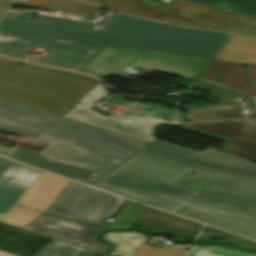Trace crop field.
Here are the masks:
<instances>
[{
	"label": "crop field",
	"instance_id": "4177f3b9",
	"mask_svg": "<svg viewBox=\"0 0 256 256\" xmlns=\"http://www.w3.org/2000/svg\"><path fill=\"white\" fill-rule=\"evenodd\" d=\"M187 87H189V89H195V88L203 89V90L210 92V95H212L214 97L226 99V101H222L221 104H227V105L234 106V107L239 106V107L247 108V109H251L253 107L249 103V101L239 98L238 95L221 90L219 88H216V87H213L210 85H206V84H202V83L193 81Z\"/></svg>",
	"mask_w": 256,
	"mask_h": 256
},
{
	"label": "crop field",
	"instance_id": "bd1437ed",
	"mask_svg": "<svg viewBox=\"0 0 256 256\" xmlns=\"http://www.w3.org/2000/svg\"><path fill=\"white\" fill-rule=\"evenodd\" d=\"M62 17H69V18H74V19H79V20H90L93 19V16H89L87 14H76L72 12H60Z\"/></svg>",
	"mask_w": 256,
	"mask_h": 256
},
{
	"label": "crop field",
	"instance_id": "d8731c3e",
	"mask_svg": "<svg viewBox=\"0 0 256 256\" xmlns=\"http://www.w3.org/2000/svg\"><path fill=\"white\" fill-rule=\"evenodd\" d=\"M107 94L108 92L103 88L102 84L99 83L74 104V108L72 110L70 109L71 111L64 116L148 143L156 140V138L150 135L159 123L179 126V123L163 121L154 117L129 115H111L105 117L93 111L91 109L93 103L103 99Z\"/></svg>",
	"mask_w": 256,
	"mask_h": 256
},
{
	"label": "crop field",
	"instance_id": "ac0d7876",
	"mask_svg": "<svg viewBox=\"0 0 256 256\" xmlns=\"http://www.w3.org/2000/svg\"><path fill=\"white\" fill-rule=\"evenodd\" d=\"M0 98V131L50 145L41 154L105 175L147 144L107 131L59 119Z\"/></svg>",
	"mask_w": 256,
	"mask_h": 256
},
{
	"label": "crop field",
	"instance_id": "3316defc",
	"mask_svg": "<svg viewBox=\"0 0 256 256\" xmlns=\"http://www.w3.org/2000/svg\"><path fill=\"white\" fill-rule=\"evenodd\" d=\"M69 180L43 172L12 205L2 221L25 228L48 208Z\"/></svg>",
	"mask_w": 256,
	"mask_h": 256
},
{
	"label": "crop field",
	"instance_id": "d1516ede",
	"mask_svg": "<svg viewBox=\"0 0 256 256\" xmlns=\"http://www.w3.org/2000/svg\"><path fill=\"white\" fill-rule=\"evenodd\" d=\"M26 229L53 236L80 246L104 253L108 246L95 240L102 226L63 219L60 216L43 214Z\"/></svg>",
	"mask_w": 256,
	"mask_h": 256
},
{
	"label": "crop field",
	"instance_id": "412701ff",
	"mask_svg": "<svg viewBox=\"0 0 256 256\" xmlns=\"http://www.w3.org/2000/svg\"><path fill=\"white\" fill-rule=\"evenodd\" d=\"M142 0H103L102 6L180 25L237 32L256 37V18L173 0L165 8Z\"/></svg>",
	"mask_w": 256,
	"mask_h": 256
},
{
	"label": "crop field",
	"instance_id": "750c4746",
	"mask_svg": "<svg viewBox=\"0 0 256 256\" xmlns=\"http://www.w3.org/2000/svg\"><path fill=\"white\" fill-rule=\"evenodd\" d=\"M148 209V206L143 205L140 206L127 220L126 224H124L122 229H126L128 227L131 226V224L142 214L144 213L146 210ZM129 229V228H128Z\"/></svg>",
	"mask_w": 256,
	"mask_h": 256
},
{
	"label": "crop field",
	"instance_id": "ae1a2a85",
	"mask_svg": "<svg viewBox=\"0 0 256 256\" xmlns=\"http://www.w3.org/2000/svg\"><path fill=\"white\" fill-rule=\"evenodd\" d=\"M188 250L164 245L161 249L145 244L135 256H186Z\"/></svg>",
	"mask_w": 256,
	"mask_h": 256
},
{
	"label": "crop field",
	"instance_id": "8a807250",
	"mask_svg": "<svg viewBox=\"0 0 256 256\" xmlns=\"http://www.w3.org/2000/svg\"><path fill=\"white\" fill-rule=\"evenodd\" d=\"M189 171L243 183L226 199L174 185ZM112 192L256 240V165L156 141L97 182Z\"/></svg>",
	"mask_w": 256,
	"mask_h": 256
},
{
	"label": "crop field",
	"instance_id": "00972430",
	"mask_svg": "<svg viewBox=\"0 0 256 256\" xmlns=\"http://www.w3.org/2000/svg\"><path fill=\"white\" fill-rule=\"evenodd\" d=\"M241 110L230 106H214L193 110L187 117L189 121L193 120H224L239 118Z\"/></svg>",
	"mask_w": 256,
	"mask_h": 256
},
{
	"label": "crop field",
	"instance_id": "0bd39190",
	"mask_svg": "<svg viewBox=\"0 0 256 256\" xmlns=\"http://www.w3.org/2000/svg\"><path fill=\"white\" fill-rule=\"evenodd\" d=\"M27 61H29V62H33V61H30V60H27ZM34 63H38V62H34ZM39 64H43V63H39ZM43 65H48V64H43ZM48 66H53V65H48ZM53 67H58V66H53ZM58 68H62V67H58ZM64 69H67V68H64ZM70 70H72V69H70ZM77 71V70H76ZM82 72V71H81ZM86 73V72H85ZM89 74H91V73H89ZM92 75H94V76H96L97 74H92Z\"/></svg>",
	"mask_w": 256,
	"mask_h": 256
},
{
	"label": "crop field",
	"instance_id": "a9b5d70f",
	"mask_svg": "<svg viewBox=\"0 0 256 256\" xmlns=\"http://www.w3.org/2000/svg\"><path fill=\"white\" fill-rule=\"evenodd\" d=\"M218 8H229L235 12L256 15V0H186Z\"/></svg>",
	"mask_w": 256,
	"mask_h": 256
},
{
	"label": "crop field",
	"instance_id": "1d83c4d3",
	"mask_svg": "<svg viewBox=\"0 0 256 256\" xmlns=\"http://www.w3.org/2000/svg\"><path fill=\"white\" fill-rule=\"evenodd\" d=\"M12 163L13 161L0 157V177L4 174V172L9 168Z\"/></svg>",
	"mask_w": 256,
	"mask_h": 256
},
{
	"label": "crop field",
	"instance_id": "5142ce71",
	"mask_svg": "<svg viewBox=\"0 0 256 256\" xmlns=\"http://www.w3.org/2000/svg\"><path fill=\"white\" fill-rule=\"evenodd\" d=\"M6 157L89 185L102 177L100 174L21 148L13 151Z\"/></svg>",
	"mask_w": 256,
	"mask_h": 256
},
{
	"label": "crop field",
	"instance_id": "d9b57169",
	"mask_svg": "<svg viewBox=\"0 0 256 256\" xmlns=\"http://www.w3.org/2000/svg\"><path fill=\"white\" fill-rule=\"evenodd\" d=\"M135 222L143 224L144 226L142 229L148 231H167L185 238H194L198 235L202 227V224L151 207H149V209Z\"/></svg>",
	"mask_w": 256,
	"mask_h": 256
},
{
	"label": "crop field",
	"instance_id": "34b2d1b8",
	"mask_svg": "<svg viewBox=\"0 0 256 256\" xmlns=\"http://www.w3.org/2000/svg\"><path fill=\"white\" fill-rule=\"evenodd\" d=\"M0 78L41 90L72 107L99 80L80 73L0 58ZM0 97L61 116L70 108L29 88L0 79ZM76 104V103H75Z\"/></svg>",
	"mask_w": 256,
	"mask_h": 256
},
{
	"label": "crop field",
	"instance_id": "028f5c9d",
	"mask_svg": "<svg viewBox=\"0 0 256 256\" xmlns=\"http://www.w3.org/2000/svg\"><path fill=\"white\" fill-rule=\"evenodd\" d=\"M81 1H86V2H91V3H95V4H101L102 0H81Z\"/></svg>",
	"mask_w": 256,
	"mask_h": 256
},
{
	"label": "crop field",
	"instance_id": "e1f06a70",
	"mask_svg": "<svg viewBox=\"0 0 256 256\" xmlns=\"http://www.w3.org/2000/svg\"><path fill=\"white\" fill-rule=\"evenodd\" d=\"M0 256H16V255H13V254H10V253H7V252H4V251L0 250Z\"/></svg>",
	"mask_w": 256,
	"mask_h": 256
},
{
	"label": "crop field",
	"instance_id": "92a150f3",
	"mask_svg": "<svg viewBox=\"0 0 256 256\" xmlns=\"http://www.w3.org/2000/svg\"><path fill=\"white\" fill-rule=\"evenodd\" d=\"M147 238V236L137 232H108L102 237L104 241L115 246V250L109 253V255L112 256H118L121 254L132 256L137 251V249L147 240Z\"/></svg>",
	"mask_w": 256,
	"mask_h": 256
},
{
	"label": "crop field",
	"instance_id": "5a996713",
	"mask_svg": "<svg viewBox=\"0 0 256 256\" xmlns=\"http://www.w3.org/2000/svg\"><path fill=\"white\" fill-rule=\"evenodd\" d=\"M125 199L70 181L45 212L101 224Z\"/></svg>",
	"mask_w": 256,
	"mask_h": 256
},
{
	"label": "crop field",
	"instance_id": "214f88e0",
	"mask_svg": "<svg viewBox=\"0 0 256 256\" xmlns=\"http://www.w3.org/2000/svg\"><path fill=\"white\" fill-rule=\"evenodd\" d=\"M87 40L212 58L217 52L89 35Z\"/></svg>",
	"mask_w": 256,
	"mask_h": 256
},
{
	"label": "crop field",
	"instance_id": "e52e79f7",
	"mask_svg": "<svg viewBox=\"0 0 256 256\" xmlns=\"http://www.w3.org/2000/svg\"><path fill=\"white\" fill-rule=\"evenodd\" d=\"M34 46L50 50L34 61L80 70L105 45L0 29V54L23 58Z\"/></svg>",
	"mask_w": 256,
	"mask_h": 256
},
{
	"label": "crop field",
	"instance_id": "730fd06b",
	"mask_svg": "<svg viewBox=\"0 0 256 256\" xmlns=\"http://www.w3.org/2000/svg\"><path fill=\"white\" fill-rule=\"evenodd\" d=\"M96 254L57 240L37 256H96Z\"/></svg>",
	"mask_w": 256,
	"mask_h": 256
},
{
	"label": "crop field",
	"instance_id": "120bbe31",
	"mask_svg": "<svg viewBox=\"0 0 256 256\" xmlns=\"http://www.w3.org/2000/svg\"><path fill=\"white\" fill-rule=\"evenodd\" d=\"M11 203L0 202V220L11 207Z\"/></svg>",
	"mask_w": 256,
	"mask_h": 256
},
{
	"label": "crop field",
	"instance_id": "d3111659",
	"mask_svg": "<svg viewBox=\"0 0 256 256\" xmlns=\"http://www.w3.org/2000/svg\"><path fill=\"white\" fill-rule=\"evenodd\" d=\"M138 205L136 203L128 201L115 220L108 226L107 229H120L124 219L129 215V213Z\"/></svg>",
	"mask_w": 256,
	"mask_h": 256
},
{
	"label": "crop field",
	"instance_id": "dafd665d",
	"mask_svg": "<svg viewBox=\"0 0 256 256\" xmlns=\"http://www.w3.org/2000/svg\"><path fill=\"white\" fill-rule=\"evenodd\" d=\"M14 4L96 15L98 6L72 0H16Z\"/></svg>",
	"mask_w": 256,
	"mask_h": 256
},
{
	"label": "crop field",
	"instance_id": "eef30255",
	"mask_svg": "<svg viewBox=\"0 0 256 256\" xmlns=\"http://www.w3.org/2000/svg\"><path fill=\"white\" fill-rule=\"evenodd\" d=\"M187 256H256V254L226 250L216 246L201 247L191 245V249Z\"/></svg>",
	"mask_w": 256,
	"mask_h": 256
},
{
	"label": "crop field",
	"instance_id": "bc2a9ffb",
	"mask_svg": "<svg viewBox=\"0 0 256 256\" xmlns=\"http://www.w3.org/2000/svg\"><path fill=\"white\" fill-rule=\"evenodd\" d=\"M214 59L256 65V39L234 34Z\"/></svg>",
	"mask_w": 256,
	"mask_h": 256
},
{
	"label": "crop field",
	"instance_id": "cbeb9de0",
	"mask_svg": "<svg viewBox=\"0 0 256 256\" xmlns=\"http://www.w3.org/2000/svg\"><path fill=\"white\" fill-rule=\"evenodd\" d=\"M19 12L9 11L0 20V28L75 38L85 40L88 33V22L36 16L34 21L17 19Z\"/></svg>",
	"mask_w": 256,
	"mask_h": 256
},
{
	"label": "crop field",
	"instance_id": "d32e631a",
	"mask_svg": "<svg viewBox=\"0 0 256 256\" xmlns=\"http://www.w3.org/2000/svg\"><path fill=\"white\" fill-rule=\"evenodd\" d=\"M12 0H0V16L6 12Z\"/></svg>",
	"mask_w": 256,
	"mask_h": 256
},
{
	"label": "crop field",
	"instance_id": "b80d0937",
	"mask_svg": "<svg viewBox=\"0 0 256 256\" xmlns=\"http://www.w3.org/2000/svg\"><path fill=\"white\" fill-rule=\"evenodd\" d=\"M179 116H180L181 121H183V122L187 121L185 114H179Z\"/></svg>",
	"mask_w": 256,
	"mask_h": 256
},
{
	"label": "crop field",
	"instance_id": "28ad6ade",
	"mask_svg": "<svg viewBox=\"0 0 256 256\" xmlns=\"http://www.w3.org/2000/svg\"><path fill=\"white\" fill-rule=\"evenodd\" d=\"M187 131L228 143L225 152L256 163V125L243 121L201 122L183 124Z\"/></svg>",
	"mask_w": 256,
	"mask_h": 256
},
{
	"label": "crop field",
	"instance_id": "4a817a6b",
	"mask_svg": "<svg viewBox=\"0 0 256 256\" xmlns=\"http://www.w3.org/2000/svg\"><path fill=\"white\" fill-rule=\"evenodd\" d=\"M176 185L193 191L192 197L198 192H204L226 198L236 190L241 183L231 180L197 174L193 176L188 173Z\"/></svg>",
	"mask_w": 256,
	"mask_h": 256
},
{
	"label": "crop field",
	"instance_id": "c035e120",
	"mask_svg": "<svg viewBox=\"0 0 256 256\" xmlns=\"http://www.w3.org/2000/svg\"><path fill=\"white\" fill-rule=\"evenodd\" d=\"M6 57H8V56H6ZM10 58H14V57H10ZM14 59H18V60H21L20 58H14Z\"/></svg>",
	"mask_w": 256,
	"mask_h": 256
},
{
	"label": "crop field",
	"instance_id": "5866460e",
	"mask_svg": "<svg viewBox=\"0 0 256 256\" xmlns=\"http://www.w3.org/2000/svg\"><path fill=\"white\" fill-rule=\"evenodd\" d=\"M12 149H8V148H5V147H1L0 146V155L4 156L6 155L8 152H10ZM9 154V153H8Z\"/></svg>",
	"mask_w": 256,
	"mask_h": 256
},
{
	"label": "crop field",
	"instance_id": "733c2abd",
	"mask_svg": "<svg viewBox=\"0 0 256 256\" xmlns=\"http://www.w3.org/2000/svg\"><path fill=\"white\" fill-rule=\"evenodd\" d=\"M41 173L25 165L12 164L0 179V201L15 203Z\"/></svg>",
	"mask_w": 256,
	"mask_h": 256
},
{
	"label": "crop field",
	"instance_id": "22f410ed",
	"mask_svg": "<svg viewBox=\"0 0 256 256\" xmlns=\"http://www.w3.org/2000/svg\"><path fill=\"white\" fill-rule=\"evenodd\" d=\"M246 68L252 90L248 87L243 67L215 60L210 61L195 79L240 92L256 101V67L246 66ZM242 119L256 123V109Z\"/></svg>",
	"mask_w": 256,
	"mask_h": 256
},
{
	"label": "crop field",
	"instance_id": "dd49c442",
	"mask_svg": "<svg viewBox=\"0 0 256 256\" xmlns=\"http://www.w3.org/2000/svg\"><path fill=\"white\" fill-rule=\"evenodd\" d=\"M89 34L215 51L233 35L165 25L117 12L112 21L103 23L100 29H91Z\"/></svg>",
	"mask_w": 256,
	"mask_h": 256
},
{
	"label": "crop field",
	"instance_id": "f4fd0767",
	"mask_svg": "<svg viewBox=\"0 0 256 256\" xmlns=\"http://www.w3.org/2000/svg\"><path fill=\"white\" fill-rule=\"evenodd\" d=\"M211 59L158 51L106 45L81 70L103 74L122 73L125 69L144 68L146 73L164 72L194 79ZM178 84H174L176 86Z\"/></svg>",
	"mask_w": 256,
	"mask_h": 256
}]
</instances>
